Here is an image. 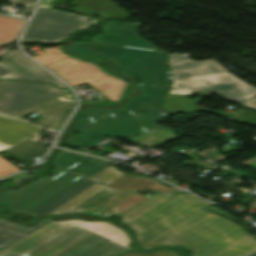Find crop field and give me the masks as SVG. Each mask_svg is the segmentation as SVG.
Returning <instances> with one entry per match:
<instances>
[{"mask_svg": "<svg viewBox=\"0 0 256 256\" xmlns=\"http://www.w3.org/2000/svg\"><path fill=\"white\" fill-rule=\"evenodd\" d=\"M147 198L148 197H146V196L136 194V195L132 196L131 198L125 200L124 202L103 212L102 214H100L97 217H109L110 215H113V214H121V213L125 212L126 210L132 208L133 206L137 205L138 203L144 201Z\"/></svg>", "mask_w": 256, "mask_h": 256, "instance_id": "obj_25", "label": "crop field"}, {"mask_svg": "<svg viewBox=\"0 0 256 256\" xmlns=\"http://www.w3.org/2000/svg\"><path fill=\"white\" fill-rule=\"evenodd\" d=\"M45 51V54L34 57L37 61H39L42 64L58 60L64 57H68L66 55L60 54V52L54 48H48L45 49Z\"/></svg>", "mask_w": 256, "mask_h": 256, "instance_id": "obj_26", "label": "crop field"}, {"mask_svg": "<svg viewBox=\"0 0 256 256\" xmlns=\"http://www.w3.org/2000/svg\"><path fill=\"white\" fill-rule=\"evenodd\" d=\"M95 183H97V182H95V181H93L89 178L84 180L80 184L76 185L72 189L68 190L67 192H65L64 194H62L61 196H59L58 198H56L55 200H53L52 202L47 204L46 206L42 207L38 211L31 214L30 215L31 216L30 222L33 223L35 217L42 216V215L52 211L56 207L60 206L61 204L65 203L66 201H68V200L72 199L73 197L77 196L78 194H80L81 192L86 190L87 188L91 187Z\"/></svg>", "mask_w": 256, "mask_h": 256, "instance_id": "obj_17", "label": "crop field"}, {"mask_svg": "<svg viewBox=\"0 0 256 256\" xmlns=\"http://www.w3.org/2000/svg\"><path fill=\"white\" fill-rule=\"evenodd\" d=\"M107 165H109L108 161L98 159L95 162H93L92 164H90L89 166H87L84 169H82L81 171H79L77 174L90 177L93 174H95L96 172H98L99 170L106 167Z\"/></svg>", "mask_w": 256, "mask_h": 256, "instance_id": "obj_27", "label": "crop field"}, {"mask_svg": "<svg viewBox=\"0 0 256 256\" xmlns=\"http://www.w3.org/2000/svg\"><path fill=\"white\" fill-rule=\"evenodd\" d=\"M0 78L50 82L65 88L59 81L25 57L18 48L7 53L0 60Z\"/></svg>", "mask_w": 256, "mask_h": 256, "instance_id": "obj_10", "label": "crop field"}, {"mask_svg": "<svg viewBox=\"0 0 256 256\" xmlns=\"http://www.w3.org/2000/svg\"><path fill=\"white\" fill-rule=\"evenodd\" d=\"M178 254L170 249H162L151 253H140L134 249L123 256H176Z\"/></svg>", "mask_w": 256, "mask_h": 256, "instance_id": "obj_29", "label": "crop field"}, {"mask_svg": "<svg viewBox=\"0 0 256 256\" xmlns=\"http://www.w3.org/2000/svg\"><path fill=\"white\" fill-rule=\"evenodd\" d=\"M173 86L169 94L192 96V92L224 88L245 100L256 95V88L232 76L213 59L193 61L187 53L169 54Z\"/></svg>", "mask_w": 256, "mask_h": 256, "instance_id": "obj_6", "label": "crop field"}, {"mask_svg": "<svg viewBox=\"0 0 256 256\" xmlns=\"http://www.w3.org/2000/svg\"><path fill=\"white\" fill-rule=\"evenodd\" d=\"M167 89L143 88L119 110L87 108L76 125L79 137L69 143L78 148L96 146L105 136H129L159 128L156 120H163L162 103Z\"/></svg>", "mask_w": 256, "mask_h": 256, "instance_id": "obj_4", "label": "crop field"}, {"mask_svg": "<svg viewBox=\"0 0 256 256\" xmlns=\"http://www.w3.org/2000/svg\"><path fill=\"white\" fill-rule=\"evenodd\" d=\"M213 113H218V114H220L222 116H226V117H229V118L233 116L231 114H227V113H223V112H217V111H214Z\"/></svg>", "mask_w": 256, "mask_h": 256, "instance_id": "obj_36", "label": "crop field"}, {"mask_svg": "<svg viewBox=\"0 0 256 256\" xmlns=\"http://www.w3.org/2000/svg\"><path fill=\"white\" fill-rule=\"evenodd\" d=\"M116 5L109 0H72L70 4L73 9L85 13L98 12L108 17H132Z\"/></svg>", "mask_w": 256, "mask_h": 256, "instance_id": "obj_15", "label": "crop field"}, {"mask_svg": "<svg viewBox=\"0 0 256 256\" xmlns=\"http://www.w3.org/2000/svg\"><path fill=\"white\" fill-rule=\"evenodd\" d=\"M166 194H162L160 192L156 193L149 199L145 200L144 202L138 204L137 206L133 207L132 209L126 211L125 213L121 214V223L126 226L131 222L135 221L139 217L143 216L147 212L151 211L155 207L159 206L163 202L167 201L174 195L167 197Z\"/></svg>", "mask_w": 256, "mask_h": 256, "instance_id": "obj_16", "label": "crop field"}, {"mask_svg": "<svg viewBox=\"0 0 256 256\" xmlns=\"http://www.w3.org/2000/svg\"><path fill=\"white\" fill-rule=\"evenodd\" d=\"M55 0H41L39 8H53L52 2Z\"/></svg>", "mask_w": 256, "mask_h": 256, "instance_id": "obj_34", "label": "crop field"}, {"mask_svg": "<svg viewBox=\"0 0 256 256\" xmlns=\"http://www.w3.org/2000/svg\"><path fill=\"white\" fill-rule=\"evenodd\" d=\"M47 149L46 146L26 140L5 150V152L24 162L34 156L42 158Z\"/></svg>", "mask_w": 256, "mask_h": 256, "instance_id": "obj_18", "label": "crop field"}, {"mask_svg": "<svg viewBox=\"0 0 256 256\" xmlns=\"http://www.w3.org/2000/svg\"><path fill=\"white\" fill-rule=\"evenodd\" d=\"M117 191L118 190H114L106 187L67 213H84L85 211L92 208L93 206L100 203L101 201L108 198L109 196L116 193Z\"/></svg>", "mask_w": 256, "mask_h": 256, "instance_id": "obj_24", "label": "crop field"}, {"mask_svg": "<svg viewBox=\"0 0 256 256\" xmlns=\"http://www.w3.org/2000/svg\"><path fill=\"white\" fill-rule=\"evenodd\" d=\"M123 175H125V174L118 171L113 166L109 165L106 168H104L103 170H101L100 172L93 175L91 178H94V179L108 185ZM104 187H106V186H104L100 183H97L94 186H92L91 188H89L88 190H86L83 193H81L80 195H78L77 197L66 202L65 204L61 205L60 207L56 208L55 210H53L52 212H50L48 214H64L65 212L69 211L70 209H72L73 207L78 205L79 203L83 202L84 200H86L87 198H89L90 196L95 194L96 192L103 189Z\"/></svg>", "mask_w": 256, "mask_h": 256, "instance_id": "obj_13", "label": "crop field"}, {"mask_svg": "<svg viewBox=\"0 0 256 256\" xmlns=\"http://www.w3.org/2000/svg\"><path fill=\"white\" fill-rule=\"evenodd\" d=\"M9 1H16L21 4H25V8L22 12L24 13H32L34 4L36 0H9Z\"/></svg>", "mask_w": 256, "mask_h": 256, "instance_id": "obj_32", "label": "crop field"}, {"mask_svg": "<svg viewBox=\"0 0 256 256\" xmlns=\"http://www.w3.org/2000/svg\"><path fill=\"white\" fill-rule=\"evenodd\" d=\"M246 107H250V108L256 110V98L249 100L246 104Z\"/></svg>", "mask_w": 256, "mask_h": 256, "instance_id": "obj_35", "label": "crop field"}, {"mask_svg": "<svg viewBox=\"0 0 256 256\" xmlns=\"http://www.w3.org/2000/svg\"><path fill=\"white\" fill-rule=\"evenodd\" d=\"M26 20L0 16V45L16 39Z\"/></svg>", "mask_w": 256, "mask_h": 256, "instance_id": "obj_20", "label": "crop field"}, {"mask_svg": "<svg viewBox=\"0 0 256 256\" xmlns=\"http://www.w3.org/2000/svg\"><path fill=\"white\" fill-rule=\"evenodd\" d=\"M45 67L55 72L73 87L87 83L113 102H119L127 83L113 77L94 64L73 57L64 58Z\"/></svg>", "mask_w": 256, "mask_h": 256, "instance_id": "obj_7", "label": "crop field"}, {"mask_svg": "<svg viewBox=\"0 0 256 256\" xmlns=\"http://www.w3.org/2000/svg\"><path fill=\"white\" fill-rule=\"evenodd\" d=\"M249 256H256V252L252 253V254H251V255H249Z\"/></svg>", "mask_w": 256, "mask_h": 256, "instance_id": "obj_37", "label": "crop field"}, {"mask_svg": "<svg viewBox=\"0 0 256 256\" xmlns=\"http://www.w3.org/2000/svg\"><path fill=\"white\" fill-rule=\"evenodd\" d=\"M64 93L44 83L0 80V112L14 116Z\"/></svg>", "mask_w": 256, "mask_h": 256, "instance_id": "obj_9", "label": "crop field"}, {"mask_svg": "<svg viewBox=\"0 0 256 256\" xmlns=\"http://www.w3.org/2000/svg\"><path fill=\"white\" fill-rule=\"evenodd\" d=\"M0 210H3V208H0Z\"/></svg>", "mask_w": 256, "mask_h": 256, "instance_id": "obj_38", "label": "crop field"}, {"mask_svg": "<svg viewBox=\"0 0 256 256\" xmlns=\"http://www.w3.org/2000/svg\"><path fill=\"white\" fill-rule=\"evenodd\" d=\"M95 160L96 158H85L62 151L54 160L55 166L62 169L18 190L0 192V202L11 212L22 211L29 215L86 179L87 177L75 173Z\"/></svg>", "mask_w": 256, "mask_h": 256, "instance_id": "obj_5", "label": "crop field"}, {"mask_svg": "<svg viewBox=\"0 0 256 256\" xmlns=\"http://www.w3.org/2000/svg\"><path fill=\"white\" fill-rule=\"evenodd\" d=\"M98 22L97 19L77 16L55 9H38L23 40L60 42L73 31L86 28Z\"/></svg>", "mask_w": 256, "mask_h": 256, "instance_id": "obj_8", "label": "crop field"}, {"mask_svg": "<svg viewBox=\"0 0 256 256\" xmlns=\"http://www.w3.org/2000/svg\"><path fill=\"white\" fill-rule=\"evenodd\" d=\"M175 131L170 130L168 128L157 130L154 132L146 133L143 135L135 136L132 138L124 139L129 142L142 145L145 147H153L157 145H161L175 137L177 135L174 134Z\"/></svg>", "mask_w": 256, "mask_h": 256, "instance_id": "obj_19", "label": "crop field"}, {"mask_svg": "<svg viewBox=\"0 0 256 256\" xmlns=\"http://www.w3.org/2000/svg\"><path fill=\"white\" fill-rule=\"evenodd\" d=\"M154 179H145L140 176H123L112 184L108 185L112 188L116 189H126V190H142L151 183H153Z\"/></svg>", "mask_w": 256, "mask_h": 256, "instance_id": "obj_22", "label": "crop field"}, {"mask_svg": "<svg viewBox=\"0 0 256 256\" xmlns=\"http://www.w3.org/2000/svg\"><path fill=\"white\" fill-rule=\"evenodd\" d=\"M209 206L183 192L128 226L142 249L184 245L193 249V256H244L256 248L239 226L199 210Z\"/></svg>", "mask_w": 256, "mask_h": 256, "instance_id": "obj_1", "label": "crop field"}, {"mask_svg": "<svg viewBox=\"0 0 256 256\" xmlns=\"http://www.w3.org/2000/svg\"><path fill=\"white\" fill-rule=\"evenodd\" d=\"M131 242L110 221H52L0 251V256H119L130 249Z\"/></svg>", "mask_w": 256, "mask_h": 256, "instance_id": "obj_2", "label": "crop field"}, {"mask_svg": "<svg viewBox=\"0 0 256 256\" xmlns=\"http://www.w3.org/2000/svg\"><path fill=\"white\" fill-rule=\"evenodd\" d=\"M136 191H119L116 194L112 195L108 199L104 200L100 204L96 205L92 209L88 210L84 214L91 215L93 217L99 215L103 211L107 210L108 208L124 201L125 199L129 198L130 196L136 194ZM109 210V209H108Z\"/></svg>", "mask_w": 256, "mask_h": 256, "instance_id": "obj_23", "label": "crop field"}, {"mask_svg": "<svg viewBox=\"0 0 256 256\" xmlns=\"http://www.w3.org/2000/svg\"><path fill=\"white\" fill-rule=\"evenodd\" d=\"M135 27L133 23L107 22L104 34L92 37L91 42L73 43L67 50L94 60L113 58L119 71L140 77L142 87H168L165 53L141 39Z\"/></svg>", "mask_w": 256, "mask_h": 256, "instance_id": "obj_3", "label": "crop field"}, {"mask_svg": "<svg viewBox=\"0 0 256 256\" xmlns=\"http://www.w3.org/2000/svg\"><path fill=\"white\" fill-rule=\"evenodd\" d=\"M174 189H176V188L175 187L168 188V187L162 186L158 183V181H156L153 184H151L150 186H148L147 188H145L144 190H161L166 193H170Z\"/></svg>", "mask_w": 256, "mask_h": 256, "instance_id": "obj_33", "label": "crop field"}, {"mask_svg": "<svg viewBox=\"0 0 256 256\" xmlns=\"http://www.w3.org/2000/svg\"><path fill=\"white\" fill-rule=\"evenodd\" d=\"M42 127L18 121L0 114V151L5 150L26 139L37 140L44 136L39 135Z\"/></svg>", "mask_w": 256, "mask_h": 256, "instance_id": "obj_12", "label": "crop field"}, {"mask_svg": "<svg viewBox=\"0 0 256 256\" xmlns=\"http://www.w3.org/2000/svg\"><path fill=\"white\" fill-rule=\"evenodd\" d=\"M232 121L251 124L256 127V112L249 109H244L243 112L232 119Z\"/></svg>", "mask_w": 256, "mask_h": 256, "instance_id": "obj_28", "label": "crop field"}, {"mask_svg": "<svg viewBox=\"0 0 256 256\" xmlns=\"http://www.w3.org/2000/svg\"><path fill=\"white\" fill-rule=\"evenodd\" d=\"M165 109L169 113H195L198 111L194 100L173 95H168V99L165 103Z\"/></svg>", "mask_w": 256, "mask_h": 256, "instance_id": "obj_21", "label": "crop field"}, {"mask_svg": "<svg viewBox=\"0 0 256 256\" xmlns=\"http://www.w3.org/2000/svg\"><path fill=\"white\" fill-rule=\"evenodd\" d=\"M210 93H216L220 98L228 99V100H236L240 102L242 105H244L245 101L241 100L240 98L234 96L233 94L229 93L228 91L224 89L220 90H214V91H207Z\"/></svg>", "mask_w": 256, "mask_h": 256, "instance_id": "obj_31", "label": "crop field"}, {"mask_svg": "<svg viewBox=\"0 0 256 256\" xmlns=\"http://www.w3.org/2000/svg\"><path fill=\"white\" fill-rule=\"evenodd\" d=\"M18 171H21V170L0 157V177L6 176Z\"/></svg>", "mask_w": 256, "mask_h": 256, "instance_id": "obj_30", "label": "crop field"}, {"mask_svg": "<svg viewBox=\"0 0 256 256\" xmlns=\"http://www.w3.org/2000/svg\"><path fill=\"white\" fill-rule=\"evenodd\" d=\"M72 110L73 95L69 92L14 117L24 120L27 115L38 111L39 115L42 117L34 123L51 129L60 130L70 116Z\"/></svg>", "mask_w": 256, "mask_h": 256, "instance_id": "obj_11", "label": "crop field"}, {"mask_svg": "<svg viewBox=\"0 0 256 256\" xmlns=\"http://www.w3.org/2000/svg\"><path fill=\"white\" fill-rule=\"evenodd\" d=\"M21 217V214H14ZM13 216V215H11ZM9 216V217H11ZM9 217L1 218L0 219V250L5 249L12 244L16 243L20 239L24 238L25 236L29 235L30 233L34 232L38 228L42 227L43 225L47 224L48 222L52 221V218L55 217H46L42 220L38 225L33 228H26L21 225L12 223L7 221L6 219Z\"/></svg>", "mask_w": 256, "mask_h": 256, "instance_id": "obj_14", "label": "crop field"}]
</instances>
